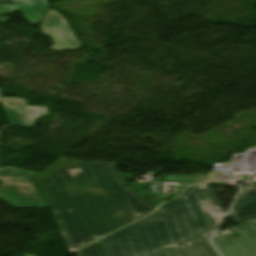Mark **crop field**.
I'll list each match as a JSON object with an SVG mask.
<instances>
[{
    "label": "crop field",
    "mask_w": 256,
    "mask_h": 256,
    "mask_svg": "<svg viewBox=\"0 0 256 256\" xmlns=\"http://www.w3.org/2000/svg\"><path fill=\"white\" fill-rule=\"evenodd\" d=\"M42 24L43 26L40 27L42 32L50 35L56 44L50 49L60 51L64 48L77 49L81 47V44L66 24L64 17L56 11H49Z\"/></svg>",
    "instance_id": "dd49c442"
},
{
    "label": "crop field",
    "mask_w": 256,
    "mask_h": 256,
    "mask_svg": "<svg viewBox=\"0 0 256 256\" xmlns=\"http://www.w3.org/2000/svg\"><path fill=\"white\" fill-rule=\"evenodd\" d=\"M230 216L235 225L247 219L256 218V185L244 186Z\"/></svg>",
    "instance_id": "d8731c3e"
},
{
    "label": "crop field",
    "mask_w": 256,
    "mask_h": 256,
    "mask_svg": "<svg viewBox=\"0 0 256 256\" xmlns=\"http://www.w3.org/2000/svg\"><path fill=\"white\" fill-rule=\"evenodd\" d=\"M207 175H190V176H167L166 182H182L195 184L198 182H207Z\"/></svg>",
    "instance_id": "3316defc"
},
{
    "label": "crop field",
    "mask_w": 256,
    "mask_h": 256,
    "mask_svg": "<svg viewBox=\"0 0 256 256\" xmlns=\"http://www.w3.org/2000/svg\"><path fill=\"white\" fill-rule=\"evenodd\" d=\"M1 1H12L14 3L8 6L0 5V14H10L15 11H20L31 24L40 23L49 7L47 0H0V2Z\"/></svg>",
    "instance_id": "e52e79f7"
},
{
    "label": "crop field",
    "mask_w": 256,
    "mask_h": 256,
    "mask_svg": "<svg viewBox=\"0 0 256 256\" xmlns=\"http://www.w3.org/2000/svg\"><path fill=\"white\" fill-rule=\"evenodd\" d=\"M81 256H106L101 241L94 243L80 252Z\"/></svg>",
    "instance_id": "d1516ede"
},
{
    "label": "crop field",
    "mask_w": 256,
    "mask_h": 256,
    "mask_svg": "<svg viewBox=\"0 0 256 256\" xmlns=\"http://www.w3.org/2000/svg\"><path fill=\"white\" fill-rule=\"evenodd\" d=\"M79 163V161H73V160H67V159H60L57 162H55L53 165L39 173L38 175L34 176L32 181L36 184L42 182L45 178L55 173L57 170H59L61 167Z\"/></svg>",
    "instance_id": "5a996713"
},
{
    "label": "crop field",
    "mask_w": 256,
    "mask_h": 256,
    "mask_svg": "<svg viewBox=\"0 0 256 256\" xmlns=\"http://www.w3.org/2000/svg\"><path fill=\"white\" fill-rule=\"evenodd\" d=\"M221 211L212 184L197 185L102 241L109 256H195L187 246L217 230Z\"/></svg>",
    "instance_id": "ac0d7876"
},
{
    "label": "crop field",
    "mask_w": 256,
    "mask_h": 256,
    "mask_svg": "<svg viewBox=\"0 0 256 256\" xmlns=\"http://www.w3.org/2000/svg\"><path fill=\"white\" fill-rule=\"evenodd\" d=\"M90 180L81 189L74 185ZM70 252L157 208L126 188L115 164L79 163L39 184ZM152 212V211H151Z\"/></svg>",
    "instance_id": "8a807250"
},
{
    "label": "crop field",
    "mask_w": 256,
    "mask_h": 256,
    "mask_svg": "<svg viewBox=\"0 0 256 256\" xmlns=\"http://www.w3.org/2000/svg\"><path fill=\"white\" fill-rule=\"evenodd\" d=\"M10 124L36 127L35 120L48 116L46 106L26 107L27 100L21 98H1Z\"/></svg>",
    "instance_id": "f4fd0767"
},
{
    "label": "crop field",
    "mask_w": 256,
    "mask_h": 256,
    "mask_svg": "<svg viewBox=\"0 0 256 256\" xmlns=\"http://www.w3.org/2000/svg\"><path fill=\"white\" fill-rule=\"evenodd\" d=\"M35 173L8 166L0 168V199L17 208H49L29 179Z\"/></svg>",
    "instance_id": "34b2d1b8"
},
{
    "label": "crop field",
    "mask_w": 256,
    "mask_h": 256,
    "mask_svg": "<svg viewBox=\"0 0 256 256\" xmlns=\"http://www.w3.org/2000/svg\"><path fill=\"white\" fill-rule=\"evenodd\" d=\"M249 222L256 226V219L250 220Z\"/></svg>",
    "instance_id": "22f410ed"
},
{
    "label": "crop field",
    "mask_w": 256,
    "mask_h": 256,
    "mask_svg": "<svg viewBox=\"0 0 256 256\" xmlns=\"http://www.w3.org/2000/svg\"><path fill=\"white\" fill-rule=\"evenodd\" d=\"M209 239L191 247L192 251L196 254V256H219L210 245Z\"/></svg>",
    "instance_id": "28ad6ade"
},
{
    "label": "crop field",
    "mask_w": 256,
    "mask_h": 256,
    "mask_svg": "<svg viewBox=\"0 0 256 256\" xmlns=\"http://www.w3.org/2000/svg\"><path fill=\"white\" fill-rule=\"evenodd\" d=\"M240 227L238 236L229 241L213 237L212 242L222 256H256V227L247 221Z\"/></svg>",
    "instance_id": "412701ff"
}]
</instances>
